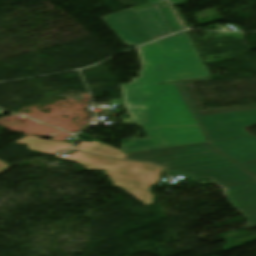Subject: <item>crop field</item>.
Instances as JSON below:
<instances>
[{"mask_svg": "<svg viewBox=\"0 0 256 256\" xmlns=\"http://www.w3.org/2000/svg\"><path fill=\"white\" fill-rule=\"evenodd\" d=\"M75 149L118 159L154 162L166 171L188 173L232 166L186 177L192 181L208 178L224 188L229 203L246 218V230L256 227V177L211 149L207 142L131 154L96 142H83Z\"/></svg>", "mask_w": 256, "mask_h": 256, "instance_id": "obj_2", "label": "crop field"}, {"mask_svg": "<svg viewBox=\"0 0 256 256\" xmlns=\"http://www.w3.org/2000/svg\"><path fill=\"white\" fill-rule=\"evenodd\" d=\"M194 81L179 82L177 84L212 148L256 175V162L241 165L256 159V137L246 130L256 124V110L201 117L183 85V83Z\"/></svg>", "mask_w": 256, "mask_h": 256, "instance_id": "obj_3", "label": "crop field"}, {"mask_svg": "<svg viewBox=\"0 0 256 256\" xmlns=\"http://www.w3.org/2000/svg\"><path fill=\"white\" fill-rule=\"evenodd\" d=\"M9 166L5 165L3 162L0 161V174L7 170Z\"/></svg>", "mask_w": 256, "mask_h": 256, "instance_id": "obj_8", "label": "crop field"}, {"mask_svg": "<svg viewBox=\"0 0 256 256\" xmlns=\"http://www.w3.org/2000/svg\"><path fill=\"white\" fill-rule=\"evenodd\" d=\"M171 1V3H172V5L174 6V5H177V4H179V3H182V0H170Z\"/></svg>", "mask_w": 256, "mask_h": 256, "instance_id": "obj_9", "label": "crop field"}, {"mask_svg": "<svg viewBox=\"0 0 256 256\" xmlns=\"http://www.w3.org/2000/svg\"><path fill=\"white\" fill-rule=\"evenodd\" d=\"M56 157L77 162L87 170H106L104 174L111 178L114 186L124 188L126 192L132 193L136 199L146 205L153 204L154 197L148 191V187L158 182L162 170L159 166L141 162L108 160L81 152L65 158L59 155Z\"/></svg>", "mask_w": 256, "mask_h": 256, "instance_id": "obj_4", "label": "crop field"}, {"mask_svg": "<svg viewBox=\"0 0 256 256\" xmlns=\"http://www.w3.org/2000/svg\"><path fill=\"white\" fill-rule=\"evenodd\" d=\"M102 20L128 45H142L171 34L157 6L136 12L133 8L114 13Z\"/></svg>", "mask_w": 256, "mask_h": 256, "instance_id": "obj_5", "label": "crop field"}, {"mask_svg": "<svg viewBox=\"0 0 256 256\" xmlns=\"http://www.w3.org/2000/svg\"><path fill=\"white\" fill-rule=\"evenodd\" d=\"M151 5L158 4L162 13L164 14L167 22L169 23L172 31L177 32L183 30V27L176 20L173 11L169 4H167V8H163L160 4L163 0H148Z\"/></svg>", "mask_w": 256, "mask_h": 256, "instance_id": "obj_7", "label": "crop field"}, {"mask_svg": "<svg viewBox=\"0 0 256 256\" xmlns=\"http://www.w3.org/2000/svg\"><path fill=\"white\" fill-rule=\"evenodd\" d=\"M138 49L140 77L121 84L131 115L122 121L142 126L146 138H130L121 150L131 153L206 141L175 83L157 85L210 77L186 32Z\"/></svg>", "mask_w": 256, "mask_h": 256, "instance_id": "obj_1", "label": "crop field"}, {"mask_svg": "<svg viewBox=\"0 0 256 256\" xmlns=\"http://www.w3.org/2000/svg\"><path fill=\"white\" fill-rule=\"evenodd\" d=\"M15 143L27 144L29 150L48 154H55L61 151V149L68 150L72 145L70 143L39 139L34 136L23 137Z\"/></svg>", "mask_w": 256, "mask_h": 256, "instance_id": "obj_6", "label": "crop field"}]
</instances>
